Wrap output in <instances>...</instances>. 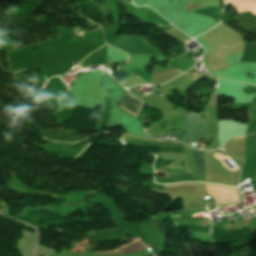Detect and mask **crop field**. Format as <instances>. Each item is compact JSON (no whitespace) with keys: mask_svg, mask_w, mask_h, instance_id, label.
Returning <instances> with one entry per match:
<instances>
[{"mask_svg":"<svg viewBox=\"0 0 256 256\" xmlns=\"http://www.w3.org/2000/svg\"><path fill=\"white\" fill-rule=\"evenodd\" d=\"M162 173H165L166 177H171L176 174H189L191 172L189 168L183 169V168H172L170 166H165L156 171V175L162 174Z\"/></svg>","mask_w":256,"mask_h":256,"instance_id":"crop-field-5","label":"crop field"},{"mask_svg":"<svg viewBox=\"0 0 256 256\" xmlns=\"http://www.w3.org/2000/svg\"><path fill=\"white\" fill-rule=\"evenodd\" d=\"M193 74H195V73H193ZM195 75H197V74H195Z\"/></svg>","mask_w":256,"mask_h":256,"instance_id":"crop-field-12","label":"crop field"},{"mask_svg":"<svg viewBox=\"0 0 256 256\" xmlns=\"http://www.w3.org/2000/svg\"><path fill=\"white\" fill-rule=\"evenodd\" d=\"M252 183H256V173L255 176L253 177Z\"/></svg>","mask_w":256,"mask_h":256,"instance_id":"crop-field-11","label":"crop field"},{"mask_svg":"<svg viewBox=\"0 0 256 256\" xmlns=\"http://www.w3.org/2000/svg\"><path fill=\"white\" fill-rule=\"evenodd\" d=\"M123 137L127 138V139H131V140L139 141V142L176 143V142H167V141H163V140H149V139L140 138V137H132V136H129V135H124Z\"/></svg>","mask_w":256,"mask_h":256,"instance_id":"crop-field-9","label":"crop field"},{"mask_svg":"<svg viewBox=\"0 0 256 256\" xmlns=\"http://www.w3.org/2000/svg\"><path fill=\"white\" fill-rule=\"evenodd\" d=\"M207 186L216 205L240 202L237 191L234 189L221 186Z\"/></svg>","mask_w":256,"mask_h":256,"instance_id":"crop-field-3","label":"crop field"},{"mask_svg":"<svg viewBox=\"0 0 256 256\" xmlns=\"http://www.w3.org/2000/svg\"><path fill=\"white\" fill-rule=\"evenodd\" d=\"M169 63H171L172 65L177 67L182 72H185L196 62H194L188 58H177Z\"/></svg>","mask_w":256,"mask_h":256,"instance_id":"crop-field-7","label":"crop field"},{"mask_svg":"<svg viewBox=\"0 0 256 256\" xmlns=\"http://www.w3.org/2000/svg\"><path fill=\"white\" fill-rule=\"evenodd\" d=\"M115 101L119 104L120 107L130 110L132 112H135L137 114L139 113V111L141 109V103L132 99L125 91ZM127 110H125V111H127ZM127 112H129V111H127ZM132 112H129V113H131L135 116H138L137 114L132 113Z\"/></svg>","mask_w":256,"mask_h":256,"instance_id":"crop-field-4","label":"crop field"},{"mask_svg":"<svg viewBox=\"0 0 256 256\" xmlns=\"http://www.w3.org/2000/svg\"><path fill=\"white\" fill-rule=\"evenodd\" d=\"M204 135L205 120L200 117L188 114L186 121V131L183 138L180 141L188 145L191 141L195 142L196 139L204 137ZM198 141H200V139L196 140V142Z\"/></svg>","mask_w":256,"mask_h":256,"instance_id":"crop-field-2","label":"crop field"},{"mask_svg":"<svg viewBox=\"0 0 256 256\" xmlns=\"http://www.w3.org/2000/svg\"><path fill=\"white\" fill-rule=\"evenodd\" d=\"M193 150V156L197 174H204V157L201 151Z\"/></svg>","mask_w":256,"mask_h":256,"instance_id":"crop-field-8","label":"crop field"},{"mask_svg":"<svg viewBox=\"0 0 256 256\" xmlns=\"http://www.w3.org/2000/svg\"><path fill=\"white\" fill-rule=\"evenodd\" d=\"M108 45L121 49L130 57L149 55L164 57L160 51L151 47V45L145 41L144 37L123 36Z\"/></svg>","mask_w":256,"mask_h":256,"instance_id":"crop-field-1","label":"crop field"},{"mask_svg":"<svg viewBox=\"0 0 256 256\" xmlns=\"http://www.w3.org/2000/svg\"><path fill=\"white\" fill-rule=\"evenodd\" d=\"M147 249L145 245H143L140 240L128 245V246H125V247H122V248H119L117 251L115 252H110V254H118V253H132V252H135V251H139V250H145Z\"/></svg>","mask_w":256,"mask_h":256,"instance_id":"crop-field-6","label":"crop field"},{"mask_svg":"<svg viewBox=\"0 0 256 256\" xmlns=\"http://www.w3.org/2000/svg\"><path fill=\"white\" fill-rule=\"evenodd\" d=\"M134 73L140 76L143 79V81L149 83L151 75H149L147 72L136 70Z\"/></svg>","mask_w":256,"mask_h":256,"instance_id":"crop-field-10","label":"crop field"}]
</instances>
